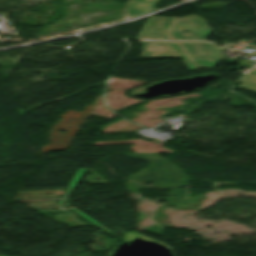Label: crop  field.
I'll return each instance as SVG.
<instances>
[{
  "instance_id": "1",
  "label": "crop field",
  "mask_w": 256,
  "mask_h": 256,
  "mask_svg": "<svg viewBox=\"0 0 256 256\" xmlns=\"http://www.w3.org/2000/svg\"><path fill=\"white\" fill-rule=\"evenodd\" d=\"M204 28H207L204 30ZM189 33L185 34L184 31ZM211 28L198 16L189 15L178 18L169 31L170 36L176 40H207Z\"/></svg>"
},
{
  "instance_id": "2",
  "label": "crop field",
  "mask_w": 256,
  "mask_h": 256,
  "mask_svg": "<svg viewBox=\"0 0 256 256\" xmlns=\"http://www.w3.org/2000/svg\"><path fill=\"white\" fill-rule=\"evenodd\" d=\"M179 43L198 68L213 69L223 60L213 44L203 42Z\"/></svg>"
},
{
  "instance_id": "3",
  "label": "crop field",
  "mask_w": 256,
  "mask_h": 256,
  "mask_svg": "<svg viewBox=\"0 0 256 256\" xmlns=\"http://www.w3.org/2000/svg\"><path fill=\"white\" fill-rule=\"evenodd\" d=\"M142 58L182 59L190 71L197 70L177 42L142 41Z\"/></svg>"
},
{
  "instance_id": "4",
  "label": "crop field",
  "mask_w": 256,
  "mask_h": 256,
  "mask_svg": "<svg viewBox=\"0 0 256 256\" xmlns=\"http://www.w3.org/2000/svg\"><path fill=\"white\" fill-rule=\"evenodd\" d=\"M175 19L164 17L149 18L138 38L172 40L168 37L167 30Z\"/></svg>"
},
{
  "instance_id": "5",
  "label": "crop field",
  "mask_w": 256,
  "mask_h": 256,
  "mask_svg": "<svg viewBox=\"0 0 256 256\" xmlns=\"http://www.w3.org/2000/svg\"><path fill=\"white\" fill-rule=\"evenodd\" d=\"M158 2L159 0H137L133 7L130 9L129 13L136 16L150 12L154 10Z\"/></svg>"
},
{
  "instance_id": "6",
  "label": "crop field",
  "mask_w": 256,
  "mask_h": 256,
  "mask_svg": "<svg viewBox=\"0 0 256 256\" xmlns=\"http://www.w3.org/2000/svg\"><path fill=\"white\" fill-rule=\"evenodd\" d=\"M239 82L243 83L239 88L256 93V75L249 73Z\"/></svg>"
},
{
  "instance_id": "7",
  "label": "crop field",
  "mask_w": 256,
  "mask_h": 256,
  "mask_svg": "<svg viewBox=\"0 0 256 256\" xmlns=\"http://www.w3.org/2000/svg\"><path fill=\"white\" fill-rule=\"evenodd\" d=\"M134 3H135V1L129 0V2L127 3V5H126L125 8H124V13L129 14L128 11H129V9L132 7V5H133ZM129 15H131V14H129Z\"/></svg>"
},
{
  "instance_id": "8",
  "label": "crop field",
  "mask_w": 256,
  "mask_h": 256,
  "mask_svg": "<svg viewBox=\"0 0 256 256\" xmlns=\"http://www.w3.org/2000/svg\"><path fill=\"white\" fill-rule=\"evenodd\" d=\"M251 73H254V74H256V69L252 70V71H251Z\"/></svg>"
}]
</instances>
